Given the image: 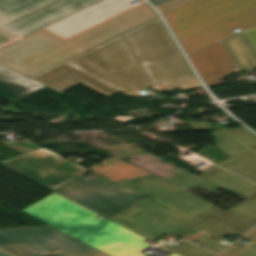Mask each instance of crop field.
I'll return each mask as SVG.
<instances>
[{
  "label": "crop field",
  "instance_id": "crop-field-1",
  "mask_svg": "<svg viewBox=\"0 0 256 256\" xmlns=\"http://www.w3.org/2000/svg\"><path fill=\"white\" fill-rule=\"evenodd\" d=\"M166 30L158 17L31 79L59 92L81 83L105 96L200 87Z\"/></svg>",
  "mask_w": 256,
  "mask_h": 256
},
{
  "label": "crop field",
  "instance_id": "crop-field-2",
  "mask_svg": "<svg viewBox=\"0 0 256 256\" xmlns=\"http://www.w3.org/2000/svg\"><path fill=\"white\" fill-rule=\"evenodd\" d=\"M101 164V168L89 169L146 197L108 219L152 241L186 225L213 206L118 157Z\"/></svg>",
  "mask_w": 256,
  "mask_h": 256
},
{
  "label": "crop field",
  "instance_id": "crop-field-3",
  "mask_svg": "<svg viewBox=\"0 0 256 256\" xmlns=\"http://www.w3.org/2000/svg\"><path fill=\"white\" fill-rule=\"evenodd\" d=\"M154 17L142 3L67 39L40 30L0 49V64L31 78Z\"/></svg>",
  "mask_w": 256,
  "mask_h": 256
},
{
  "label": "crop field",
  "instance_id": "crop-field-4",
  "mask_svg": "<svg viewBox=\"0 0 256 256\" xmlns=\"http://www.w3.org/2000/svg\"><path fill=\"white\" fill-rule=\"evenodd\" d=\"M21 212L112 256H143L139 251L150 246L142 242L145 238L107 219L100 221L94 218L97 214L54 193Z\"/></svg>",
  "mask_w": 256,
  "mask_h": 256
},
{
  "label": "crop field",
  "instance_id": "crop-field-5",
  "mask_svg": "<svg viewBox=\"0 0 256 256\" xmlns=\"http://www.w3.org/2000/svg\"><path fill=\"white\" fill-rule=\"evenodd\" d=\"M79 179L56 193L108 218L144 197L95 173Z\"/></svg>",
  "mask_w": 256,
  "mask_h": 256
},
{
  "label": "crop field",
  "instance_id": "crop-field-6",
  "mask_svg": "<svg viewBox=\"0 0 256 256\" xmlns=\"http://www.w3.org/2000/svg\"><path fill=\"white\" fill-rule=\"evenodd\" d=\"M0 165L51 190L90 172L44 148L0 161Z\"/></svg>",
  "mask_w": 256,
  "mask_h": 256
},
{
  "label": "crop field",
  "instance_id": "crop-field-7",
  "mask_svg": "<svg viewBox=\"0 0 256 256\" xmlns=\"http://www.w3.org/2000/svg\"><path fill=\"white\" fill-rule=\"evenodd\" d=\"M0 233L42 256H110L50 226L0 228Z\"/></svg>",
  "mask_w": 256,
  "mask_h": 256
},
{
  "label": "crop field",
  "instance_id": "crop-field-8",
  "mask_svg": "<svg viewBox=\"0 0 256 256\" xmlns=\"http://www.w3.org/2000/svg\"><path fill=\"white\" fill-rule=\"evenodd\" d=\"M164 16L187 55L231 35L189 3Z\"/></svg>",
  "mask_w": 256,
  "mask_h": 256
},
{
  "label": "crop field",
  "instance_id": "crop-field-9",
  "mask_svg": "<svg viewBox=\"0 0 256 256\" xmlns=\"http://www.w3.org/2000/svg\"><path fill=\"white\" fill-rule=\"evenodd\" d=\"M211 133L215 145L230 157L218 165L256 183V136L245 129Z\"/></svg>",
  "mask_w": 256,
  "mask_h": 256
},
{
  "label": "crop field",
  "instance_id": "crop-field-10",
  "mask_svg": "<svg viewBox=\"0 0 256 256\" xmlns=\"http://www.w3.org/2000/svg\"><path fill=\"white\" fill-rule=\"evenodd\" d=\"M97 1L99 0H54L1 25L0 28L21 37Z\"/></svg>",
  "mask_w": 256,
  "mask_h": 256
},
{
  "label": "crop field",
  "instance_id": "crop-field-11",
  "mask_svg": "<svg viewBox=\"0 0 256 256\" xmlns=\"http://www.w3.org/2000/svg\"><path fill=\"white\" fill-rule=\"evenodd\" d=\"M229 33L256 24V0H194L190 2Z\"/></svg>",
  "mask_w": 256,
  "mask_h": 256
},
{
  "label": "crop field",
  "instance_id": "crop-field-12",
  "mask_svg": "<svg viewBox=\"0 0 256 256\" xmlns=\"http://www.w3.org/2000/svg\"><path fill=\"white\" fill-rule=\"evenodd\" d=\"M199 177L245 199L227 210L249 222L256 224V185L241 179L216 166Z\"/></svg>",
  "mask_w": 256,
  "mask_h": 256
},
{
  "label": "crop field",
  "instance_id": "crop-field-13",
  "mask_svg": "<svg viewBox=\"0 0 256 256\" xmlns=\"http://www.w3.org/2000/svg\"><path fill=\"white\" fill-rule=\"evenodd\" d=\"M134 1L136 0H103L46 28L68 37L132 6L129 3Z\"/></svg>",
  "mask_w": 256,
  "mask_h": 256
},
{
  "label": "crop field",
  "instance_id": "crop-field-14",
  "mask_svg": "<svg viewBox=\"0 0 256 256\" xmlns=\"http://www.w3.org/2000/svg\"><path fill=\"white\" fill-rule=\"evenodd\" d=\"M253 226L214 206L185 227L217 242L232 233L241 236Z\"/></svg>",
  "mask_w": 256,
  "mask_h": 256
},
{
  "label": "crop field",
  "instance_id": "crop-field-15",
  "mask_svg": "<svg viewBox=\"0 0 256 256\" xmlns=\"http://www.w3.org/2000/svg\"><path fill=\"white\" fill-rule=\"evenodd\" d=\"M207 85L223 83L225 76L237 68L220 42L189 56Z\"/></svg>",
  "mask_w": 256,
  "mask_h": 256
},
{
  "label": "crop field",
  "instance_id": "crop-field-16",
  "mask_svg": "<svg viewBox=\"0 0 256 256\" xmlns=\"http://www.w3.org/2000/svg\"><path fill=\"white\" fill-rule=\"evenodd\" d=\"M222 42L240 70L256 69V26Z\"/></svg>",
  "mask_w": 256,
  "mask_h": 256
},
{
  "label": "crop field",
  "instance_id": "crop-field-17",
  "mask_svg": "<svg viewBox=\"0 0 256 256\" xmlns=\"http://www.w3.org/2000/svg\"><path fill=\"white\" fill-rule=\"evenodd\" d=\"M43 86L0 65V98L9 103Z\"/></svg>",
  "mask_w": 256,
  "mask_h": 256
},
{
  "label": "crop field",
  "instance_id": "crop-field-18",
  "mask_svg": "<svg viewBox=\"0 0 256 256\" xmlns=\"http://www.w3.org/2000/svg\"><path fill=\"white\" fill-rule=\"evenodd\" d=\"M51 0H0V24Z\"/></svg>",
  "mask_w": 256,
  "mask_h": 256
},
{
  "label": "crop field",
  "instance_id": "crop-field-19",
  "mask_svg": "<svg viewBox=\"0 0 256 256\" xmlns=\"http://www.w3.org/2000/svg\"><path fill=\"white\" fill-rule=\"evenodd\" d=\"M243 238L249 241L232 251L226 249L221 254L214 256H256V228Z\"/></svg>",
  "mask_w": 256,
  "mask_h": 256
},
{
  "label": "crop field",
  "instance_id": "crop-field-20",
  "mask_svg": "<svg viewBox=\"0 0 256 256\" xmlns=\"http://www.w3.org/2000/svg\"><path fill=\"white\" fill-rule=\"evenodd\" d=\"M173 233L182 237V238H184V239H186V240H188V241H190L192 239H195V240L201 242L202 243L201 247L210 251V252H212V253H218L222 249L225 248V247L217 244L216 242H214V241H212V240H210V239H208V238H206L202 235H199V234H197V233H195V232H193V231H191V230H189L185 227H183V228H181V229H179V230H177Z\"/></svg>",
  "mask_w": 256,
  "mask_h": 256
},
{
  "label": "crop field",
  "instance_id": "crop-field-21",
  "mask_svg": "<svg viewBox=\"0 0 256 256\" xmlns=\"http://www.w3.org/2000/svg\"><path fill=\"white\" fill-rule=\"evenodd\" d=\"M0 248L13 256H30L35 252L0 234Z\"/></svg>",
  "mask_w": 256,
  "mask_h": 256
},
{
  "label": "crop field",
  "instance_id": "crop-field-22",
  "mask_svg": "<svg viewBox=\"0 0 256 256\" xmlns=\"http://www.w3.org/2000/svg\"><path fill=\"white\" fill-rule=\"evenodd\" d=\"M183 256H212V254L188 243L178 249L174 248V247H167Z\"/></svg>",
  "mask_w": 256,
  "mask_h": 256
},
{
  "label": "crop field",
  "instance_id": "crop-field-23",
  "mask_svg": "<svg viewBox=\"0 0 256 256\" xmlns=\"http://www.w3.org/2000/svg\"><path fill=\"white\" fill-rule=\"evenodd\" d=\"M15 39H17V38L0 30V47L15 40Z\"/></svg>",
  "mask_w": 256,
  "mask_h": 256
},
{
  "label": "crop field",
  "instance_id": "crop-field-24",
  "mask_svg": "<svg viewBox=\"0 0 256 256\" xmlns=\"http://www.w3.org/2000/svg\"><path fill=\"white\" fill-rule=\"evenodd\" d=\"M0 256H8V255H6V254L2 253V254H0Z\"/></svg>",
  "mask_w": 256,
  "mask_h": 256
},
{
  "label": "crop field",
  "instance_id": "crop-field-25",
  "mask_svg": "<svg viewBox=\"0 0 256 256\" xmlns=\"http://www.w3.org/2000/svg\"><path fill=\"white\" fill-rule=\"evenodd\" d=\"M0 253H2V252L0 251Z\"/></svg>",
  "mask_w": 256,
  "mask_h": 256
}]
</instances>
